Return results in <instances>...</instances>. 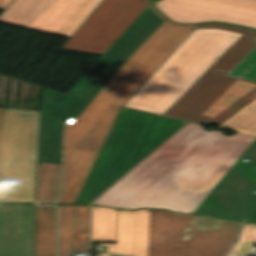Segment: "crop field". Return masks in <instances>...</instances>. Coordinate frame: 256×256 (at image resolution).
Masks as SVG:
<instances>
[{
  "instance_id": "21",
  "label": "crop field",
  "mask_w": 256,
  "mask_h": 256,
  "mask_svg": "<svg viewBox=\"0 0 256 256\" xmlns=\"http://www.w3.org/2000/svg\"><path fill=\"white\" fill-rule=\"evenodd\" d=\"M148 1H150V2H152V3L154 2V0H148Z\"/></svg>"
},
{
  "instance_id": "4",
  "label": "crop field",
  "mask_w": 256,
  "mask_h": 256,
  "mask_svg": "<svg viewBox=\"0 0 256 256\" xmlns=\"http://www.w3.org/2000/svg\"><path fill=\"white\" fill-rule=\"evenodd\" d=\"M185 121L122 107L75 203H90Z\"/></svg>"
},
{
  "instance_id": "13",
  "label": "crop field",
  "mask_w": 256,
  "mask_h": 256,
  "mask_svg": "<svg viewBox=\"0 0 256 256\" xmlns=\"http://www.w3.org/2000/svg\"><path fill=\"white\" fill-rule=\"evenodd\" d=\"M89 216L88 206L60 205L59 256H70L71 251H86Z\"/></svg>"
},
{
  "instance_id": "1",
  "label": "crop field",
  "mask_w": 256,
  "mask_h": 256,
  "mask_svg": "<svg viewBox=\"0 0 256 256\" xmlns=\"http://www.w3.org/2000/svg\"><path fill=\"white\" fill-rule=\"evenodd\" d=\"M196 26L148 6L67 95L43 89L36 202L74 203L120 108Z\"/></svg>"
},
{
  "instance_id": "7",
  "label": "crop field",
  "mask_w": 256,
  "mask_h": 256,
  "mask_svg": "<svg viewBox=\"0 0 256 256\" xmlns=\"http://www.w3.org/2000/svg\"><path fill=\"white\" fill-rule=\"evenodd\" d=\"M39 111L6 108L0 136V202H35Z\"/></svg>"
},
{
  "instance_id": "15",
  "label": "crop field",
  "mask_w": 256,
  "mask_h": 256,
  "mask_svg": "<svg viewBox=\"0 0 256 256\" xmlns=\"http://www.w3.org/2000/svg\"><path fill=\"white\" fill-rule=\"evenodd\" d=\"M117 209L92 206V237L95 242H116Z\"/></svg>"
},
{
  "instance_id": "11",
  "label": "crop field",
  "mask_w": 256,
  "mask_h": 256,
  "mask_svg": "<svg viewBox=\"0 0 256 256\" xmlns=\"http://www.w3.org/2000/svg\"><path fill=\"white\" fill-rule=\"evenodd\" d=\"M154 7L171 21H223L256 28V0H160Z\"/></svg>"
},
{
  "instance_id": "23",
  "label": "crop field",
  "mask_w": 256,
  "mask_h": 256,
  "mask_svg": "<svg viewBox=\"0 0 256 256\" xmlns=\"http://www.w3.org/2000/svg\"><path fill=\"white\" fill-rule=\"evenodd\" d=\"M156 1V0H155Z\"/></svg>"
},
{
  "instance_id": "12",
  "label": "crop field",
  "mask_w": 256,
  "mask_h": 256,
  "mask_svg": "<svg viewBox=\"0 0 256 256\" xmlns=\"http://www.w3.org/2000/svg\"><path fill=\"white\" fill-rule=\"evenodd\" d=\"M149 210L118 209L116 255L147 256Z\"/></svg>"
},
{
  "instance_id": "24",
  "label": "crop field",
  "mask_w": 256,
  "mask_h": 256,
  "mask_svg": "<svg viewBox=\"0 0 256 256\" xmlns=\"http://www.w3.org/2000/svg\"><path fill=\"white\" fill-rule=\"evenodd\" d=\"M158 1V0H157Z\"/></svg>"
},
{
  "instance_id": "10",
  "label": "crop field",
  "mask_w": 256,
  "mask_h": 256,
  "mask_svg": "<svg viewBox=\"0 0 256 256\" xmlns=\"http://www.w3.org/2000/svg\"><path fill=\"white\" fill-rule=\"evenodd\" d=\"M149 3L103 0L61 49L102 55Z\"/></svg>"
},
{
  "instance_id": "16",
  "label": "crop field",
  "mask_w": 256,
  "mask_h": 256,
  "mask_svg": "<svg viewBox=\"0 0 256 256\" xmlns=\"http://www.w3.org/2000/svg\"><path fill=\"white\" fill-rule=\"evenodd\" d=\"M219 127L256 136V98Z\"/></svg>"
},
{
  "instance_id": "2",
  "label": "crop field",
  "mask_w": 256,
  "mask_h": 256,
  "mask_svg": "<svg viewBox=\"0 0 256 256\" xmlns=\"http://www.w3.org/2000/svg\"><path fill=\"white\" fill-rule=\"evenodd\" d=\"M254 138L190 122L94 204L192 213Z\"/></svg>"
},
{
  "instance_id": "5",
  "label": "crop field",
  "mask_w": 256,
  "mask_h": 256,
  "mask_svg": "<svg viewBox=\"0 0 256 256\" xmlns=\"http://www.w3.org/2000/svg\"><path fill=\"white\" fill-rule=\"evenodd\" d=\"M241 35L220 29H195L124 106L162 114Z\"/></svg>"
},
{
  "instance_id": "9",
  "label": "crop field",
  "mask_w": 256,
  "mask_h": 256,
  "mask_svg": "<svg viewBox=\"0 0 256 256\" xmlns=\"http://www.w3.org/2000/svg\"><path fill=\"white\" fill-rule=\"evenodd\" d=\"M102 0H15L0 22L71 37Z\"/></svg>"
},
{
  "instance_id": "17",
  "label": "crop field",
  "mask_w": 256,
  "mask_h": 256,
  "mask_svg": "<svg viewBox=\"0 0 256 256\" xmlns=\"http://www.w3.org/2000/svg\"><path fill=\"white\" fill-rule=\"evenodd\" d=\"M256 243V224L245 223L237 244L230 256H241L248 254L252 245Z\"/></svg>"
},
{
  "instance_id": "6",
  "label": "crop field",
  "mask_w": 256,
  "mask_h": 256,
  "mask_svg": "<svg viewBox=\"0 0 256 256\" xmlns=\"http://www.w3.org/2000/svg\"><path fill=\"white\" fill-rule=\"evenodd\" d=\"M240 224L150 209L148 256H227Z\"/></svg>"
},
{
  "instance_id": "3",
  "label": "crop field",
  "mask_w": 256,
  "mask_h": 256,
  "mask_svg": "<svg viewBox=\"0 0 256 256\" xmlns=\"http://www.w3.org/2000/svg\"><path fill=\"white\" fill-rule=\"evenodd\" d=\"M197 28L244 34L163 115L220 125L256 97V31L221 23Z\"/></svg>"
},
{
  "instance_id": "19",
  "label": "crop field",
  "mask_w": 256,
  "mask_h": 256,
  "mask_svg": "<svg viewBox=\"0 0 256 256\" xmlns=\"http://www.w3.org/2000/svg\"><path fill=\"white\" fill-rule=\"evenodd\" d=\"M12 0H0V7L5 9Z\"/></svg>"
},
{
  "instance_id": "14",
  "label": "crop field",
  "mask_w": 256,
  "mask_h": 256,
  "mask_svg": "<svg viewBox=\"0 0 256 256\" xmlns=\"http://www.w3.org/2000/svg\"><path fill=\"white\" fill-rule=\"evenodd\" d=\"M35 207L34 256H56L57 207Z\"/></svg>"
},
{
  "instance_id": "20",
  "label": "crop field",
  "mask_w": 256,
  "mask_h": 256,
  "mask_svg": "<svg viewBox=\"0 0 256 256\" xmlns=\"http://www.w3.org/2000/svg\"><path fill=\"white\" fill-rule=\"evenodd\" d=\"M4 110H5V108L0 107V131H1V126H2V121H3Z\"/></svg>"
},
{
  "instance_id": "22",
  "label": "crop field",
  "mask_w": 256,
  "mask_h": 256,
  "mask_svg": "<svg viewBox=\"0 0 256 256\" xmlns=\"http://www.w3.org/2000/svg\"><path fill=\"white\" fill-rule=\"evenodd\" d=\"M73 253V252H72Z\"/></svg>"
},
{
  "instance_id": "8",
  "label": "crop field",
  "mask_w": 256,
  "mask_h": 256,
  "mask_svg": "<svg viewBox=\"0 0 256 256\" xmlns=\"http://www.w3.org/2000/svg\"><path fill=\"white\" fill-rule=\"evenodd\" d=\"M249 159L248 162L242 161ZM256 138L193 212L256 222Z\"/></svg>"
},
{
  "instance_id": "18",
  "label": "crop field",
  "mask_w": 256,
  "mask_h": 256,
  "mask_svg": "<svg viewBox=\"0 0 256 256\" xmlns=\"http://www.w3.org/2000/svg\"><path fill=\"white\" fill-rule=\"evenodd\" d=\"M98 246H107V253L98 254L97 256H112L115 255V243H98Z\"/></svg>"
}]
</instances>
